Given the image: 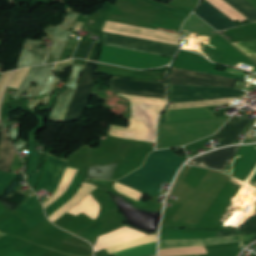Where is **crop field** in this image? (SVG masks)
<instances>
[{
    "mask_svg": "<svg viewBox=\"0 0 256 256\" xmlns=\"http://www.w3.org/2000/svg\"><path fill=\"white\" fill-rule=\"evenodd\" d=\"M39 44L40 42H25L17 69L44 63L47 52L45 49L39 48Z\"/></svg>",
    "mask_w": 256,
    "mask_h": 256,
    "instance_id": "crop-field-17",
    "label": "crop field"
},
{
    "mask_svg": "<svg viewBox=\"0 0 256 256\" xmlns=\"http://www.w3.org/2000/svg\"><path fill=\"white\" fill-rule=\"evenodd\" d=\"M162 10H167V11H173V12H180V13H186V14H190V12L188 11H184V10H180V9H176V8H173V7H170L168 5H165V4H162L160 2H157V1H154V0H144Z\"/></svg>",
    "mask_w": 256,
    "mask_h": 256,
    "instance_id": "crop-field-34",
    "label": "crop field"
},
{
    "mask_svg": "<svg viewBox=\"0 0 256 256\" xmlns=\"http://www.w3.org/2000/svg\"><path fill=\"white\" fill-rule=\"evenodd\" d=\"M156 254V242L124 250L114 255L117 256H147Z\"/></svg>",
    "mask_w": 256,
    "mask_h": 256,
    "instance_id": "crop-field-21",
    "label": "crop field"
},
{
    "mask_svg": "<svg viewBox=\"0 0 256 256\" xmlns=\"http://www.w3.org/2000/svg\"><path fill=\"white\" fill-rule=\"evenodd\" d=\"M117 34L179 45L180 35L106 21L103 30Z\"/></svg>",
    "mask_w": 256,
    "mask_h": 256,
    "instance_id": "crop-field-7",
    "label": "crop field"
},
{
    "mask_svg": "<svg viewBox=\"0 0 256 256\" xmlns=\"http://www.w3.org/2000/svg\"><path fill=\"white\" fill-rule=\"evenodd\" d=\"M241 120L233 118L226 126H224L212 139L211 141L221 139L230 133Z\"/></svg>",
    "mask_w": 256,
    "mask_h": 256,
    "instance_id": "crop-field-30",
    "label": "crop field"
},
{
    "mask_svg": "<svg viewBox=\"0 0 256 256\" xmlns=\"http://www.w3.org/2000/svg\"><path fill=\"white\" fill-rule=\"evenodd\" d=\"M250 122H251V120H248V119L244 118L238 124V126L220 142V144L217 147H221V146H226V145L232 144L234 139L242 133V131L246 128V126Z\"/></svg>",
    "mask_w": 256,
    "mask_h": 256,
    "instance_id": "crop-field-26",
    "label": "crop field"
},
{
    "mask_svg": "<svg viewBox=\"0 0 256 256\" xmlns=\"http://www.w3.org/2000/svg\"><path fill=\"white\" fill-rule=\"evenodd\" d=\"M0 133V170L8 172L16 151L12 143L9 141V137L3 128H1Z\"/></svg>",
    "mask_w": 256,
    "mask_h": 256,
    "instance_id": "crop-field-18",
    "label": "crop field"
},
{
    "mask_svg": "<svg viewBox=\"0 0 256 256\" xmlns=\"http://www.w3.org/2000/svg\"><path fill=\"white\" fill-rule=\"evenodd\" d=\"M224 1H226L229 5H231L237 11H239L241 14L247 17L250 23L256 22V10L245 0H224Z\"/></svg>",
    "mask_w": 256,
    "mask_h": 256,
    "instance_id": "crop-field-19",
    "label": "crop field"
},
{
    "mask_svg": "<svg viewBox=\"0 0 256 256\" xmlns=\"http://www.w3.org/2000/svg\"><path fill=\"white\" fill-rule=\"evenodd\" d=\"M29 70L30 68L20 69L16 71L11 82L9 81L10 82L9 87L18 89L19 85L21 84L22 80L24 79L25 75Z\"/></svg>",
    "mask_w": 256,
    "mask_h": 256,
    "instance_id": "crop-field-32",
    "label": "crop field"
},
{
    "mask_svg": "<svg viewBox=\"0 0 256 256\" xmlns=\"http://www.w3.org/2000/svg\"><path fill=\"white\" fill-rule=\"evenodd\" d=\"M186 160L176 156L171 149L152 152L145 165L118 182L151 196H158L163 182L171 183Z\"/></svg>",
    "mask_w": 256,
    "mask_h": 256,
    "instance_id": "crop-field-1",
    "label": "crop field"
},
{
    "mask_svg": "<svg viewBox=\"0 0 256 256\" xmlns=\"http://www.w3.org/2000/svg\"><path fill=\"white\" fill-rule=\"evenodd\" d=\"M195 14L219 31L238 26L207 1H204Z\"/></svg>",
    "mask_w": 256,
    "mask_h": 256,
    "instance_id": "crop-field-15",
    "label": "crop field"
},
{
    "mask_svg": "<svg viewBox=\"0 0 256 256\" xmlns=\"http://www.w3.org/2000/svg\"><path fill=\"white\" fill-rule=\"evenodd\" d=\"M256 62V41L233 43Z\"/></svg>",
    "mask_w": 256,
    "mask_h": 256,
    "instance_id": "crop-field-29",
    "label": "crop field"
},
{
    "mask_svg": "<svg viewBox=\"0 0 256 256\" xmlns=\"http://www.w3.org/2000/svg\"><path fill=\"white\" fill-rule=\"evenodd\" d=\"M226 103H229L228 99L193 102V103H186V104H176V105H170L168 110L182 109V108H192V107H202V106L222 105V104H226Z\"/></svg>",
    "mask_w": 256,
    "mask_h": 256,
    "instance_id": "crop-field-25",
    "label": "crop field"
},
{
    "mask_svg": "<svg viewBox=\"0 0 256 256\" xmlns=\"http://www.w3.org/2000/svg\"><path fill=\"white\" fill-rule=\"evenodd\" d=\"M51 154V153H50ZM48 153L43 174L40 178L36 193L42 189L54 193L67 165L68 160L57 158Z\"/></svg>",
    "mask_w": 256,
    "mask_h": 256,
    "instance_id": "crop-field-9",
    "label": "crop field"
},
{
    "mask_svg": "<svg viewBox=\"0 0 256 256\" xmlns=\"http://www.w3.org/2000/svg\"><path fill=\"white\" fill-rule=\"evenodd\" d=\"M103 44L174 58L179 46L150 40L103 33Z\"/></svg>",
    "mask_w": 256,
    "mask_h": 256,
    "instance_id": "crop-field-2",
    "label": "crop field"
},
{
    "mask_svg": "<svg viewBox=\"0 0 256 256\" xmlns=\"http://www.w3.org/2000/svg\"><path fill=\"white\" fill-rule=\"evenodd\" d=\"M88 40L86 39H82L79 46H78V49L74 55L73 58H83V59H86L90 50H91V46L92 44L90 43H87Z\"/></svg>",
    "mask_w": 256,
    "mask_h": 256,
    "instance_id": "crop-field-31",
    "label": "crop field"
},
{
    "mask_svg": "<svg viewBox=\"0 0 256 256\" xmlns=\"http://www.w3.org/2000/svg\"><path fill=\"white\" fill-rule=\"evenodd\" d=\"M99 51H100V44L95 43L94 46H93V49L91 51L89 59L96 61L97 57H98V54H99Z\"/></svg>",
    "mask_w": 256,
    "mask_h": 256,
    "instance_id": "crop-field-38",
    "label": "crop field"
},
{
    "mask_svg": "<svg viewBox=\"0 0 256 256\" xmlns=\"http://www.w3.org/2000/svg\"><path fill=\"white\" fill-rule=\"evenodd\" d=\"M35 141L30 140L29 143V154H28V167L26 174H32L38 168L39 156L37 152L33 150Z\"/></svg>",
    "mask_w": 256,
    "mask_h": 256,
    "instance_id": "crop-field-28",
    "label": "crop field"
},
{
    "mask_svg": "<svg viewBox=\"0 0 256 256\" xmlns=\"http://www.w3.org/2000/svg\"><path fill=\"white\" fill-rule=\"evenodd\" d=\"M97 72L100 74L112 75L135 80L165 83V74L160 73L141 72L133 69L102 64H99Z\"/></svg>",
    "mask_w": 256,
    "mask_h": 256,
    "instance_id": "crop-field-11",
    "label": "crop field"
},
{
    "mask_svg": "<svg viewBox=\"0 0 256 256\" xmlns=\"http://www.w3.org/2000/svg\"><path fill=\"white\" fill-rule=\"evenodd\" d=\"M14 176L15 174L0 172V194L3 192V190L6 188V186L9 184Z\"/></svg>",
    "mask_w": 256,
    "mask_h": 256,
    "instance_id": "crop-field-36",
    "label": "crop field"
},
{
    "mask_svg": "<svg viewBox=\"0 0 256 256\" xmlns=\"http://www.w3.org/2000/svg\"><path fill=\"white\" fill-rule=\"evenodd\" d=\"M241 90L170 85L171 103L241 96Z\"/></svg>",
    "mask_w": 256,
    "mask_h": 256,
    "instance_id": "crop-field-4",
    "label": "crop field"
},
{
    "mask_svg": "<svg viewBox=\"0 0 256 256\" xmlns=\"http://www.w3.org/2000/svg\"><path fill=\"white\" fill-rule=\"evenodd\" d=\"M41 158H42V163H41L39 172L36 174H33L31 177L26 179V181L29 183V185L32 187V189H34V187L38 181L39 175L41 173V170H42V166H43V162H44V155H41Z\"/></svg>",
    "mask_w": 256,
    "mask_h": 256,
    "instance_id": "crop-field-37",
    "label": "crop field"
},
{
    "mask_svg": "<svg viewBox=\"0 0 256 256\" xmlns=\"http://www.w3.org/2000/svg\"><path fill=\"white\" fill-rule=\"evenodd\" d=\"M57 83H58V80L54 78L53 75L51 74L43 92L39 95L37 101H30L28 107L32 108L34 111L37 104H40V103L47 104Z\"/></svg>",
    "mask_w": 256,
    "mask_h": 256,
    "instance_id": "crop-field-20",
    "label": "crop field"
},
{
    "mask_svg": "<svg viewBox=\"0 0 256 256\" xmlns=\"http://www.w3.org/2000/svg\"><path fill=\"white\" fill-rule=\"evenodd\" d=\"M169 80L170 84L220 88H232L236 81L220 76H209L174 68H172V75H169Z\"/></svg>",
    "mask_w": 256,
    "mask_h": 256,
    "instance_id": "crop-field-5",
    "label": "crop field"
},
{
    "mask_svg": "<svg viewBox=\"0 0 256 256\" xmlns=\"http://www.w3.org/2000/svg\"><path fill=\"white\" fill-rule=\"evenodd\" d=\"M255 235H241L232 237L211 238L205 240H177V241H161L160 249L191 247V246H208L236 241L253 240Z\"/></svg>",
    "mask_w": 256,
    "mask_h": 256,
    "instance_id": "crop-field-13",
    "label": "crop field"
},
{
    "mask_svg": "<svg viewBox=\"0 0 256 256\" xmlns=\"http://www.w3.org/2000/svg\"><path fill=\"white\" fill-rule=\"evenodd\" d=\"M190 254H206V249L204 247H199V248H187V249L160 250V256H179V255H190Z\"/></svg>",
    "mask_w": 256,
    "mask_h": 256,
    "instance_id": "crop-field-24",
    "label": "crop field"
},
{
    "mask_svg": "<svg viewBox=\"0 0 256 256\" xmlns=\"http://www.w3.org/2000/svg\"><path fill=\"white\" fill-rule=\"evenodd\" d=\"M190 256H198V255H190Z\"/></svg>",
    "mask_w": 256,
    "mask_h": 256,
    "instance_id": "crop-field-40",
    "label": "crop field"
},
{
    "mask_svg": "<svg viewBox=\"0 0 256 256\" xmlns=\"http://www.w3.org/2000/svg\"><path fill=\"white\" fill-rule=\"evenodd\" d=\"M144 235L146 234L128 227H123L108 235L100 236L94 249L97 252L103 248L110 247Z\"/></svg>",
    "mask_w": 256,
    "mask_h": 256,
    "instance_id": "crop-field-16",
    "label": "crop field"
},
{
    "mask_svg": "<svg viewBox=\"0 0 256 256\" xmlns=\"http://www.w3.org/2000/svg\"><path fill=\"white\" fill-rule=\"evenodd\" d=\"M153 256H156V255H153Z\"/></svg>",
    "mask_w": 256,
    "mask_h": 256,
    "instance_id": "crop-field-41",
    "label": "crop field"
},
{
    "mask_svg": "<svg viewBox=\"0 0 256 256\" xmlns=\"http://www.w3.org/2000/svg\"><path fill=\"white\" fill-rule=\"evenodd\" d=\"M5 234H2L1 232H0V237H2V236H4Z\"/></svg>",
    "mask_w": 256,
    "mask_h": 256,
    "instance_id": "crop-field-39",
    "label": "crop field"
},
{
    "mask_svg": "<svg viewBox=\"0 0 256 256\" xmlns=\"http://www.w3.org/2000/svg\"><path fill=\"white\" fill-rule=\"evenodd\" d=\"M211 4H213L215 7H217L219 10H221L224 14H226L228 17H230L232 20H240L241 22L247 20L243 15H241L239 12H237L235 9H233L231 6H229L227 3H225L223 0H207Z\"/></svg>",
    "mask_w": 256,
    "mask_h": 256,
    "instance_id": "crop-field-23",
    "label": "crop field"
},
{
    "mask_svg": "<svg viewBox=\"0 0 256 256\" xmlns=\"http://www.w3.org/2000/svg\"><path fill=\"white\" fill-rule=\"evenodd\" d=\"M237 229L240 232V234H242V232L243 234H256V218L250 220L246 227L240 228L242 232L239 230V228ZM237 229L229 232H218L217 237L239 235V232L237 231ZM253 241H256V238Z\"/></svg>",
    "mask_w": 256,
    "mask_h": 256,
    "instance_id": "crop-field-27",
    "label": "crop field"
},
{
    "mask_svg": "<svg viewBox=\"0 0 256 256\" xmlns=\"http://www.w3.org/2000/svg\"><path fill=\"white\" fill-rule=\"evenodd\" d=\"M13 72L3 73L0 77V103L2 101L6 85Z\"/></svg>",
    "mask_w": 256,
    "mask_h": 256,
    "instance_id": "crop-field-35",
    "label": "crop field"
},
{
    "mask_svg": "<svg viewBox=\"0 0 256 256\" xmlns=\"http://www.w3.org/2000/svg\"><path fill=\"white\" fill-rule=\"evenodd\" d=\"M74 60L65 61L57 63L56 68L54 69L53 73L55 71L63 72L64 69L68 66H73L71 77L67 83V90L61 94H59L56 103L54 105V108L52 110V113L50 115V119L56 121V120H64L66 110L69 106V103L73 97L76 85L78 83L79 77L83 71V66L75 65L73 64Z\"/></svg>",
    "mask_w": 256,
    "mask_h": 256,
    "instance_id": "crop-field-6",
    "label": "crop field"
},
{
    "mask_svg": "<svg viewBox=\"0 0 256 256\" xmlns=\"http://www.w3.org/2000/svg\"><path fill=\"white\" fill-rule=\"evenodd\" d=\"M70 12L67 20L62 25L48 29L46 32L53 38L54 44L52 46V49L49 53V56L47 58V61L45 64L52 63L58 61L65 45L68 42V39L73 31L69 32V27L72 25L74 26L75 20L79 17V14L73 12L72 10H68Z\"/></svg>",
    "mask_w": 256,
    "mask_h": 256,
    "instance_id": "crop-field-10",
    "label": "crop field"
},
{
    "mask_svg": "<svg viewBox=\"0 0 256 256\" xmlns=\"http://www.w3.org/2000/svg\"><path fill=\"white\" fill-rule=\"evenodd\" d=\"M40 202L37 199V197L35 196V194L29 198L21 207L20 209L28 212V213H32L35 209H37L40 206Z\"/></svg>",
    "mask_w": 256,
    "mask_h": 256,
    "instance_id": "crop-field-33",
    "label": "crop field"
},
{
    "mask_svg": "<svg viewBox=\"0 0 256 256\" xmlns=\"http://www.w3.org/2000/svg\"><path fill=\"white\" fill-rule=\"evenodd\" d=\"M111 90L115 93L166 98L165 84L129 81L114 77Z\"/></svg>",
    "mask_w": 256,
    "mask_h": 256,
    "instance_id": "crop-field-8",
    "label": "crop field"
},
{
    "mask_svg": "<svg viewBox=\"0 0 256 256\" xmlns=\"http://www.w3.org/2000/svg\"><path fill=\"white\" fill-rule=\"evenodd\" d=\"M55 64L46 65V66H40V67H34L31 68V70L26 75L24 81L22 82L21 86L19 87L15 99H19V95L28 89L31 82H37L38 85L36 87H32L29 92H31L30 96H36L43 88L51 70ZM14 99V100H15Z\"/></svg>",
    "mask_w": 256,
    "mask_h": 256,
    "instance_id": "crop-field-14",
    "label": "crop field"
},
{
    "mask_svg": "<svg viewBox=\"0 0 256 256\" xmlns=\"http://www.w3.org/2000/svg\"><path fill=\"white\" fill-rule=\"evenodd\" d=\"M113 5L111 4H107L106 7L102 10V11H98L99 13L91 16V20L90 22H94L93 26H88V31L90 32H93V33H99L100 32V29L106 19V17L108 16L111 8H112ZM114 7V6H113ZM113 9V8H112ZM112 11V10H111Z\"/></svg>",
    "mask_w": 256,
    "mask_h": 256,
    "instance_id": "crop-field-22",
    "label": "crop field"
},
{
    "mask_svg": "<svg viewBox=\"0 0 256 256\" xmlns=\"http://www.w3.org/2000/svg\"><path fill=\"white\" fill-rule=\"evenodd\" d=\"M95 62L87 61L77 91L69 106L64 122L75 121L82 117L91 91L96 81Z\"/></svg>",
    "mask_w": 256,
    "mask_h": 256,
    "instance_id": "crop-field-3",
    "label": "crop field"
},
{
    "mask_svg": "<svg viewBox=\"0 0 256 256\" xmlns=\"http://www.w3.org/2000/svg\"><path fill=\"white\" fill-rule=\"evenodd\" d=\"M240 146L214 151L196 158L188 163L223 170L229 164Z\"/></svg>",
    "mask_w": 256,
    "mask_h": 256,
    "instance_id": "crop-field-12",
    "label": "crop field"
}]
</instances>
